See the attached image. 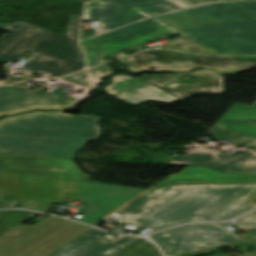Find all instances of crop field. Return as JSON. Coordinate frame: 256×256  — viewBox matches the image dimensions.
<instances>
[{
  "label": "crop field",
  "instance_id": "1",
  "mask_svg": "<svg viewBox=\"0 0 256 256\" xmlns=\"http://www.w3.org/2000/svg\"><path fill=\"white\" fill-rule=\"evenodd\" d=\"M176 32L217 55H255L256 1L217 3L148 18L80 45L93 66L104 62L102 56Z\"/></svg>",
  "mask_w": 256,
  "mask_h": 256
},
{
  "label": "crop field",
  "instance_id": "2",
  "mask_svg": "<svg viewBox=\"0 0 256 256\" xmlns=\"http://www.w3.org/2000/svg\"><path fill=\"white\" fill-rule=\"evenodd\" d=\"M255 194L256 184L154 187L115 213L151 232L183 222L243 215L256 206H245Z\"/></svg>",
  "mask_w": 256,
  "mask_h": 256
},
{
  "label": "crop field",
  "instance_id": "3",
  "mask_svg": "<svg viewBox=\"0 0 256 256\" xmlns=\"http://www.w3.org/2000/svg\"><path fill=\"white\" fill-rule=\"evenodd\" d=\"M100 116L37 115L0 126V154L73 159L88 140H96Z\"/></svg>",
  "mask_w": 256,
  "mask_h": 256
},
{
  "label": "crop field",
  "instance_id": "4",
  "mask_svg": "<svg viewBox=\"0 0 256 256\" xmlns=\"http://www.w3.org/2000/svg\"><path fill=\"white\" fill-rule=\"evenodd\" d=\"M80 18L70 16L73 21L66 36L22 22L0 23V29L11 32L0 38V61H16L26 52H32L23 65L27 69L46 71L55 77L83 69V54L76 45Z\"/></svg>",
  "mask_w": 256,
  "mask_h": 256
},
{
  "label": "crop field",
  "instance_id": "5",
  "mask_svg": "<svg viewBox=\"0 0 256 256\" xmlns=\"http://www.w3.org/2000/svg\"><path fill=\"white\" fill-rule=\"evenodd\" d=\"M90 229L52 216L33 226L19 225L0 237V256H46Z\"/></svg>",
  "mask_w": 256,
  "mask_h": 256
},
{
  "label": "crop field",
  "instance_id": "6",
  "mask_svg": "<svg viewBox=\"0 0 256 256\" xmlns=\"http://www.w3.org/2000/svg\"><path fill=\"white\" fill-rule=\"evenodd\" d=\"M182 9L168 0H100L87 5L84 20H101L98 33L145 17Z\"/></svg>",
  "mask_w": 256,
  "mask_h": 256
},
{
  "label": "crop field",
  "instance_id": "7",
  "mask_svg": "<svg viewBox=\"0 0 256 256\" xmlns=\"http://www.w3.org/2000/svg\"><path fill=\"white\" fill-rule=\"evenodd\" d=\"M105 233L92 229L50 256H162L143 237L119 235L109 242L100 238Z\"/></svg>",
  "mask_w": 256,
  "mask_h": 256
},
{
  "label": "crop field",
  "instance_id": "8",
  "mask_svg": "<svg viewBox=\"0 0 256 256\" xmlns=\"http://www.w3.org/2000/svg\"><path fill=\"white\" fill-rule=\"evenodd\" d=\"M167 256L230 243L239 238L212 223L188 224L151 236Z\"/></svg>",
  "mask_w": 256,
  "mask_h": 256
},
{
  "label": "crop field",
  "instance_id": "9",
  "mask_svg": "<svg viewBox=\"0 0 256 256\" xmlns=\"http://www.w3.org/2000/svg\"><path fill=\"white\" fill-rule=\"evenodd\" d=\"M130 69L191 68L199 65L232 69L256 65V57H200L174 51H145L122 59Z\"/></svg>",
  "mask_w": 256,
  "mask_h": 256
},
{
  "label": "crop field",
  "instance_id": "10",
  "mask_svg": "<svg viewBox=\"0 0 256 256\" xmlns=\"http://www.w3.org/2000/svg\"><path fill=\"white\" fill-rule=\"evenodd\" d=\"M139 79L179 98L223 93V76L214 73L146 75Z\"/></svg>",
  "mask_w": 256,
  "mask_h": 256
},
{
  "label": "crop field",
  "instance_id": "11",
  "mask_svg": "<svg viewBox=\"0 0 256 256\" xmlns=\"http://www.w3.org/2000/svg\"><path fill=\"white\" fill-rule=\"evenodd\" d=\"M144 189L87 182L85 210L80 221L95 224L104 216L142 193Z\"/></svg>",
  "mask_w": 256,
  "mask_h": 256
},
{
  "label": "crop field",
  "instance_id": "12",
  "mask_svg": "<svg viewBox=\"0 0 256 256\" xmlns=\"http://www.w3.org/2000/svg\"><path fill=\"white\" fill-rule=\"evenodd\" d=\"M0 170L31 173L86 181L89 176L78 170L71 160L0 155Z\"/></svg>",
  "mask_w": 256,
  "mask_h": 256
},
{
  "label": "crop field",
  "instance_id": "13",
  "mask_svg": "<svg viewBox=\"0 0 256 256\" xmlns=\"http://www.w3.org/2000/svg\"><path fill=\"white\" fill-rule=\"evenodd\" d=\"M168 165L204 167L222 173H256V156H232L199 148Z\"/></svg>",
  "mask_w": 256,
  "mask_h": 256
},
{
  "label": "crop field",
  "instance_id": "14",
  "mask_svg": "<svg viewBox=\"0 0 256 256\" xmlns=\"http://www.w3.org/2000/svg\"><path fill=\"white\" fill-rule=\"evenodd\" d=\"M105 91L123 101L139 105L143 102L154 100L170 103L179 99L155 88L138 78L117 75L113 77L110 86Z\"/></svg>",
  "mask_w": 256,
  "mask_h": 256
},
{
  "label": "crop field",
  "instance_id": "15",
  "mask_svg": "<svg viewBox=\"0 0 256 256\" xmlns=\"http://www.w3.org/2000/svg\"><path fill=\"white\" fill-rule=\"evenodd\" d=\"M65 89L57 88L55 93L35 94L21 92L19 87L0 88V112L17 110L33 105L74 106L77 99L64 97Z\"/></svg>",
  "mask_w": 256,
  "mask_h": 256
},
{
  "label": "crop field",
  "instance_id": "16",
  "mask_svg": "<svg viewBox=\"0 0 256 256\" xmlns=\"http://www.w3.org/2000/svg\"><path fill=\"white\" fill-rule=\"evenodd\" d=\"M186 168V167H185ZM256 183V174H221L204 168L187 167L156 186Z\"/></svg>",
  "mask_w": 256,
  "mask_h": 256
},
{
  "label": "crop field",
  "instance_id": "17",
  "mask_svg": "<svg viewBox=\"0 0 256 256\" xmlns=\"http://www.w3.org/2000/svg\"><path fill=\"white\" fill-rule=\"evenodd\" d=\"M208 132L213 138L231 141L238 146L253 147L256 154V119L254 120H218Z\"/></svg>",
  "mask_w": 256,
  "mask_h": 256
},
{
  "label": "crop field",
  "instance_id": "18",
  "mask_svg": "<svg viewBox=\"0 0 256 256\" xmlns=\"http://www.w3.org/2000/svg\"><path fill=\"white\" fill-rule=\"evenodd\" d=\"M111 72L112 71L109 66L103 65L100 67L82 71L80 73L70 75L60 79L75 82L79 85H82L91 89H96L98 88L97 85L101 83V80H102L97 77L105 76Z\"/></svg>",
  "mask_w": 256,
  "mask_h": 256
},
{
  "label": "crop field",
  "instance_id": "19",
  "mask_svg": "<svg viewBox=\"0 0 256 256\" xmlns=\"http://www.w3.org/2000/svg\"><path fill=\"white\" fill-rule=\"evenodd\" d=\"M35 215L20 210L0 211V236Z\"/></svg>",
  "mask_w": 256,
  "mask_h": 256
},
{
  "label": "crop field",
  "instance_id": "20",
  "mask_svg": "<svg viewBox=\"0 0 256 256\" xmlns=\"http://www.w3.org/2000/svg\"><path fill=\"white\" fill-rule=\"evenodd\" d=\"M256 118V108L235 103L220 119H253Z\"/></svg>",
  "mask_w": 256,
  "mask_h": 256
},
{
  "label": "crop field",
  "instance_id": "21",
  "mask_svg": "<svg viewBox=\"0 0 256 256\" xmlns=\"http://www.w3.org/2000/svg\"><path fill=\"white\" fill-rule=\"evenodd\" d=\"M164 48L180 50L194 54L215 55L187 38L164 45Z\"/></svg>",
  "mask_w": 256,
  "mask_h": 256
},
{
  "label": "crop field",
  "instance_id": "22",
  "mask_svg": "<svg viewBox=\"0 0 256 256\" xmlns=\"http://www.w3.org/2000/svg\"><path fill=\"white\" fill-rule=\"evenodd\" d=\"M200 67L210 68V67H205V66H200ZM254 67H256V66L240 68V69H232V70H224V69H217V68H210V69H212L216 72H219V73H232V72H238V71H242V70L251 69V68H254ZM189 70H191V69L150 68V69L132 70V71L135 73V72H138V71H189Z\"/></svg>",
  "mask_w": 256,
  "mask_h": 256
},
{
  "label": "crop field",
  "instance_id": "23",
  "mask_svg": "<svg viewBox=\"0 0 256 256\" xmlns=\"http://www.w3.org/2000/svg\"><path fill=\"white\" fill-rule=\"evenodd\" d=\"M184 8L204 4V3H210V2H219V1H229V0H170Z\"/></svg>",
  "mask_w": 256,
  "mask_h": 256
},
{
  "label": "crop field",
  "instance_id": "24",
  "mask_svg": "<svg viewBox=\"0 0 256 256\" xmlns=\"http://www.w3.org/2000/svg\"><path fill=\"white\" fill-rule=\"evenodd\" d=\"M23 199L11 196L0 195V207L16 206L22 202Z\"/></svg>",
  "mask_w": 256,
  "mask_h": 256
},
{
  "label": "crop field",
  "instance_id": "25",
  "mask_svg": "<svg viewBox=\"0 0 256 256\" xmlns=\"http://www.w3.org/2000/svg\"><path fill=\"white\" fill-rule=\"evenodd\" d=\"M37 114H48V115H66V116H74V115H68V114H64V113H55V112H39V111H35L34 113H28V114H21L17 117H8V118H4L0 120V125L13 120V119H17V118H21V117H27V116H33V115H37Z\"/></svg>",
  "mask_w": 256,
  "mask_h": 256
},
{
  "label": "crop field",
  "instance_id": "26",
  "mask_svg": "<svg viewBox=\"0 0 256 256\" xmlns=\"http://www.w3.org/2000/svg\"><path fill=\"white\" fill-rule=\"evenodd\" d=\"M34 108L50 109V110H62V108L53 107V106H33V107H29V108L21 109V110H17V111L1 113L0 115L16 114V113L24 112V111L31 110V109H34ZM67 108H69V107H67Z\"/></svg>",
  "mask_w": 256,
  "mask_h": 256
},
{
  "label": "crop field",
  "instance_id": "27",
  "mask_svg": "<svg viewBox=\"0 0 256 256\" xmlns=\"http://www.w3.org/2000/svg\"><path fill=\"white\" fill-rule=\"evenodd\" d=\"M222 226L256 227V224L218 223Z\"/></svg>",
  "mask_w": 256,
  "mask_h": 256
},
{
  "label": "crop field",
  "instance_id": "28",
  "mask_svg": "<svg viewBox=\"0 0 256 256\" xmlns=\"http://www.w3.org/2000/svg\"><path fill=\"white\" fill-rule=\"evenodd\" d=\"M237 221L256 222V212Z\"/></svg>",
  "mask_w": 256,
  "mask_h": 256
},
{
  "label": "crop field",
  "instance_id": "29",
  "mask_svg": "<svg viewBox=\"0 0 256 256\" xmlns=\"http://www.w3.org/2000/svg\"><path fill=\"white\" fill-rule=\"evenodd\" d=\"M256 204V195L249 201L247 205Z\"/></svg>",
  "mask_w": 256,
  "mask_h": 256
},
{
  "label": "crop field",
  "instance_id": "30",
  "mask_svg": "<svg viewBox=\"0 0 256 256\" xmlns=\"http://www.w3.org/2000/svg\"><path fill=\"white\" fill-rule=\"evenodd\" d=\"M197 72H214V71L203 70V71H194L193 73H197ZM214 73H216V72H214Z\"/></svg>",
  "mask_w": 256,
  "mask_h": 256
},
{
  "label": "crop field",
  "instance_id": "31",
  "mask_svg": "<svg viewBox=\"0 0 256 256\" xmlns=\"http://www.w3.org/2000/svg\"><path fill=\"white\" fill-rule=\"evenodd\" d=\"M216 256H229L227 254H220V255H216Z\"/></svg>",
  "mask_w": 256,
  "mask_h": 256
}]
</instances>
